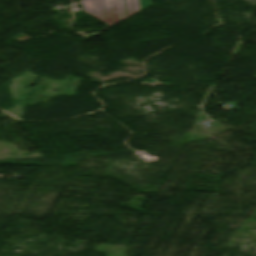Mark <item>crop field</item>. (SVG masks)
<instances>
[{
    "mask_svg": "<svg viewBox=\"0 0 256 256\" xmlns=\"http://www.w3.org/2000/svg\"><path fill=\"white\" fill-rule=\"evenodd\" d=\"M81 3L85 12L111 26L139 11L137 0H83Z\"/></svg>",
    "mask_w": 256,
    "mask_h": 256,
    "instance_id": "1",
    "label": "crop field"
},
{
    "mask_svg": "<svg viewBox=\"0 0 256 256\" xmlns=\"http://www.w3.org/2000/svg\"><path fill=\"white\" fill-rule=\"evenodd\" d=\"M140 1V7H141V9H144V8H146V7H148V6H150L151 4H150V1L151 0H139Z\"/></svg>",
    "mask_w": 256,
    "mask_h": 256,
    "instance_id": "2",
    "label": "crop field"
},
{
    "mask_svg": "<svg viewBox=\"0 0 256 256\" xmlns=\"http://www.w3.org/2000/svg\"><path fill=\"white\" fill-rule=\"evenodd\" d=\"M158 1H160V0H158Z\"/></svg>",
    "mask_w": 256,
    "mask_h": 256,
    "instance_id": "3",
    "label": "crop field"
}]
</instances>
